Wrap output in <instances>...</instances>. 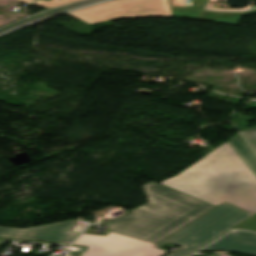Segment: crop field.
Returning a JSON list of instances; mask_svg holds the SVG:
<instances>
[{
  "instance_id": "crop-field-1",
  "label": "crop field",
  "mask_w": 256,
  "mask_h": 256,
  "mask_svg": "<svg viewBox=\"0 0 256 256\" xmlns=\"http://www.w3.org/2000/svg\"><path fill=\"white\" fill-rule=\"evenodd\" d=\"M162 184L215 206L226 201L256 213V175L228 142Z\"/></svg>"
},
{
  "instance_id": "crop-field-2",
  "label": "crop field",
  "mask_w": 256,
  "mask_h": 256,
  "mask_svg": "<svg viewBox=\"0 0 256 256\" xmlns=\"http://www.w3.org/2000/svg\"><path fill=\"white\" fill-rule=\"evenodd\" d=\"M142 187L149 202L107 221L108 231L157 243L215 207L153 181Z\"/></svg>"
},
{
  "instance_id": "crop-field-3",
  "label": "crop field",
  "mask_w": 256,
  "mask_h": 256,
  "mask_svg": "<svg viewBox=\"0 0 256 256\" xmlns=\"http://www.w3.org/2000/svg\"><path fill=\"white\" fill-rule=\"evenodd\" d=\"M253 214L224 202L154 247L173 243L182 247L168 256H187Z\"/></svg>"
},
{
  "instance_id": "crop-field-4",
  "label": "crop field",
  "mask_w": 256,
  "mask_h": 256,
  "mask_svg": "<svg viewBox=\"0 0 256 256\" xmlns=\"http://www.w3.org/2000/svg\"><path fill=\"white\" fill-rule=\"evenodd\" d=\"M89 24L136 16L173 17L168 0H113L68 13Z\"/></svg>"
},
{
  "instance_id": "crop-field-5",
  "label": "crop field",
  "mask_w": 256,
  "mask_h": 256,
  "mask_svg": "<svg viewBox=\"0 0 256 256\" xmlns=\"http://www.w3.org/2000/svg\"><path fill=\"white\" fill-rule=\"evenodd\" d=\"M76 245L89 246L85 256H163L155 243L109 232L108 236L82 234Z\"/></svg>"
},
{
  "instance_id": "crop-field-6",
  "label": "crop field",
  "mask_w": 256,
  "mask_h": 256,
  "mask_svg": "<svg viewBox=\"0 0 256 256\" xmlns=\"http://www.w3.org/2000/svg\"><path fill=\"white\" fill-rule=\"evenodd\" d=\"M78 220L27 229L0 227V237L30 239L71 244L79 235L72 233Z\"/></svg>"
},
{
  "instance_id": "crop-field-7",
  "label": "crop field",
  "mask_w": 256,
  "mask_h": 256,
  "mask_svg": "<svg viewBox=\"0 0 256 256\" xmlns=\"http://www.w3.org/2000/svg\"><path fill=\"white\" fill-rule=\"evenodd\" d=\"M202 251H228L256 256V234L232 232Z\"/></svg>"
},
{
  "instance_id": "crop-field-8",
  "label": "crop field",
  "mask_w": 256,
  "mask_h": 256,
  "mask_svg": "<svg viewBox=\"0 0 256 256\" xmlns=\"http://www.w3.org/2000/svg\"><path fill=\"white\" fill-rule=\"evenodd\" d=\"M242 138L238 134L228 142L256 174V154Z\"/></svg>"
},
{
  "instance_id": "crop-field-9",
  "label": "crop field",
  "mask_w": 256,
  "mask_h": 256,
  "mask_svg": "<svg viewBox=\"0 0 256 256\" xmlns=\"http://www.w3.org/2000/svg\"><path fill=\"white\" fill-rule=\"evenodd\" d=\"M79 0H50L49 2L44 0H38L36 5L37 7H44V8H53L59 5L75 2Z\"/></svg>"
},
{
  "instance_id": "crop-field-10",
  "label": "crop field",
  "mask_w": 256,
  "mask_h": 256,
  "mask_svg": "<svg viewBox=\"0 0 256 256\" xmlns=\"http://www.w3.org/2000/svg\"><path fill=\"white\" fill-rule=\"evenodd\" d=\"M234 229H244L256 232V216L236 226Z\"/></svg>"
},
{
  "instance_id": "crop-field-11",
  "label": "crop field",
  "mask_w": 256,
  "mask_h": 256,
  "mask_svg": "<svg viewBox=\"0 0 256 256\" xmlns=\"http://www.w3.org/2000/svg\"><path fill=\"white\" fill-rule=\"evenodd\" d=\"M242 133L245 135V137L256 150V126L245 131H242Z\"/></svg>"
},
{
  "instance_id": "crop-field-12",
  "label": "crop field",
  "mask_w": 256,
  "mask_h": 256,
  "mask_svg": "<svg viewBox=\"0 0 256 256\" xmlns=\"http://www.w3.org/2000/svg\"><path fill=\"white\" fill-rule=\"evenodd\" d=\"M205 10H212V11H229V12H244L246 11L245 9H237V10H232V9H224V8H209L205 7ZM256 9V8H255ZM252 10V9H251Z\"/></svg>"
},
{
  "instance_id": "crop-field-13",
  "label": "crop field",
  "mask_w": 256,
  "mask_h": 256,
  "mask_svg": "<svg viewBox=\"0 0 256 256\" xmlns=\"http://www.w3.org/2000/svg\"><path fill=\"white\" fill-rule=\"evenodd\" d=\"M171 6H185L184 0H169Z\"/></svg>"
},
{
  "instance_id": "crop-field-14",
  "label": "crop field",
  "mask_w": 256,
  "mask_h": 256,
  "mask_svg": "<svg viewBox=\"0 0 256 256\" xmlns=\"http://www.w3.org/2000/svg\"><path fill=\"white\" fill-rule=\"evenodd\" d=\"M216 2L217 1L209 0L206 6L217 7V5H222V4H216Z\"/></svg>"
},
{
  "instance_id": "crop-field-15",
  "label": "crop field",
  "mask_w": 256,
  "mask_h": 256,
  "mask_svg": "<svg viewBox=\"0 0 256 256\" xmlns=\"http://www.w3.org/2000/svg\"><path fill=\"white\" fill-rule=\"evenodd\" d=\"M18 1H22V2H24L26 4L33 5L35 0H18Z\"/></svg>"
}]
</instances>
